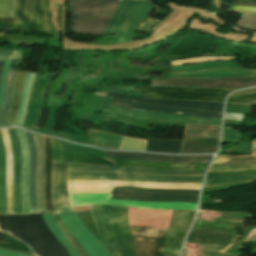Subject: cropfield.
<instances>
[{
    "label": "crop field",
    "mask_w": 256,
    "mask_h": 256,
    "mask_svg": "<svg viewBox=\"0 0 256 256\" xmlns=\"http://www.w3.org/2000/svg\"><path fill=\"white\" fill-rule=\"evenodd\" d=\"M243 114L225 113L224 119L242 121Z\"/></svg>",
    "instance_id": "obj_50"
},
{
    "label": "crop field",
    "mask_w": 256,
    "mask_h": 256,
    "mask_svg": "<svg viewBox=\"0 0 256 256\" xmlns=\"http://www.w3.org/2000/svg\"><path fill=\"white\" fill-rule=\"evenodd\" d=\"M135 256H161L168 229L129 225Z\"/></svg>",
    "instance_id": "obj_9"
},
{
    "label": "crop field",
    "mask_w": 256,
    "mask_h": 256,
    "mask_svg": "<svg viewBox=\"0 0 256 256\" xmlns=\"http://www.w3.org/2000/svg\"><path fill=\"white\" fill-rule=\"evenodd\" d=\"M239 136V132L236 130H232V128H224L223 131V141H237Z\"/></svg>",
    "instance_id": "obj_48"
},
{
    "label": "crop field",
    "mask_w": 256,
    "mask_h": 256,
    "mask_svg": "<svg viewBox=\"0 0 256 256\" xmlns=\"http://www.w3.org/2000/svg\"><path fill=\"white\" fill-rule=\"evenodd\" d=\"M25 74H26V72H24V71H20V70L18 71L7 125H14L16 111H17V107H18V102H19L21 88H22Z\"/></svg>",
    "instance_id": "obj_34"
},
{
    "label": "crop field",
    "mask_w": 256,
    "mask_h": 256,
    "mask_svg": "<svg viewBox=\"0 0 256 256\" xmlns=\"http://www.w3.org/2000/svg\"><path fill=\"white\" fill-rule=\"evenodd\" d=\"M0 229L24 241L39 256H69L40 214L1 216Z\"/></svg>",
    "instance_id": "obj_2"
},
{
    "label": "crop field",
    "mask_w": 256,
    "mask_h": 256,
    "mask_svg": "<svg viewBox=\"0 0 256 256\" xmlns=\"http://www.w3.org/2000/svg\"><path fill=\"white\" fill-rule=\"evenodd\" d=\"M16 74H17L16 70L10 69L7 86H6V91H5L4 104H3V107L1 109V114H0V127L5 126L7 123V118H8V113H9V109H10Z\"/></svg>",
    "instance_id": "obj_32"
},
{
    "label": "crop field",
    "mask_w": 256,
    "mask_h": 256,
    "mask_svg": "<svg viewBox=\"0 0 256 256\" xmlns=\"http://www.w3.org/2000/svg\"><path fill=\"white\" fill-rule=\"evenodd\" d=\"M27 129H30V130H33L36 132H40V133H45V134L61 137V138H65V139H69V140H73L78 143H82L80 137H77V136H73V135H69V134H65V133H61V132L50 131V130L41 129V128H27Z\"/></svg>",
    "instance_id": "obj_43"
},
{
    "label": "crop field",
    "mask_w": 256,
    "mask_h": 256,
    "mask_svg": "<svg viewBox=\"0 0 256 256\" xmlns=\"http://www.w3.org/2000/svg\"><path fill=\"white\" fill-rule=\"evenodd\" d=\"M172 71L200 70V69H218V68H242L238 63L233 61L225 62H204L191 65H180L170 67Z\"/></svg>",
    "instance_id": "obj_31"
},
{
    "label": "crop field",
    "mask_w": 256,
    "mask_h": 256,
    "mask_svg": "<svg viewBox=\"0 0 256 256\" xmlns=\"http://www.w3.org/2000/svg\"><path fill=\"white\" fill-rule=\"evenodd\" d=\"M87 133H88L89 144H92V145H94L95 142L119 145L122 137L116 134H111V133H106L101 131H93V130H87Z\"/></svg>",
    "instance_id": "obj_35"
},
{
    "label": "crop field",
    "mask_w": 256,
    "mask_h": 256,
    "mask_svg": "<svg viewBox=\"0 0 256 256\" xmlns=\"http://www.w3.org/2000/svg\"><path fill=\"white\" fill-rule=\"evenodd\" d=\"M196 211H173L163 256H178L182 240Z\"/></svg>",
    "instance_id": "obj_15"
},
{
    "label": "crop field",
    "mask_w": 256,
    "mask_h": 256,
    "mask_svg": "<svg viewBox=\"0 0 256 256\" xmlns=\"http://www.w3.org/2000/svg\"><path fill=\"white\" fill-rule=\"evenodd\" d=\"M220 127L186 124L183 140L218 139ZM218 140L183 141L181 153H212Z\"/></svg>",
    "instance_id": "obj_10"
},
{
    "label": "crop field",
    "mask_w": 256,
    "mask_h": 256,
    "mask_svg": "<svg viewBox=\"0 0 256 256\" xmlns=\"http://www.w3.org/2000/svg\"><path fill=\"white\" fill-rule=\"evenodd\" d=\"M0 256H28V255L0 250Z\"/></svg>",
    "instance_id": "obj_52"
},
{
    "label": "crop field",
    "mask_w": 256,
    "mask_h": 256,
    "mask_svg": "<svg viewBox=\"0 0 256 256\" xmlns=\"http://www.w3.org/2000/svg\"><path fill=\"white\" fill-rule=\"evenodd\" d=\"M49 0H16L12 28H22L49 32L51 12Z\"/></svg>",
    "instance_id": "obj_4"
},
{
    "label": "crop field",
    "mask_w": 256,
    "mask_h": 256,
    "mask_svg": "<svg viewBox=\"0 0 256 256\" xmlns=\"http://www.w3.org/2000/svg\"><path fill=\"white\" fill-rule=\"evenodd\" d=\"M203 177H167L140 174H79L67 173V180L109 181L127 180L157 183H201Z\"/></svg>",
    "instance_id": "obj_13"
},
{
    "label": "crop field",
    "mask_w": 256,
    "mask_h": 256,
    "mask_svg": "<svg viewBox=\"0 0 256 256\" xmlns=\"http://www.w3.org/2000/svg\"><path fill=\"white\" fill-rule=\"evenodd\" d=\"M1 135L5 147L6 155V186H13V152L12 144L8 129H1ZM7 193V212H1V215L14 214V203H13V187H6Z\"/></svg>",
    "instance_id": "obj_22"
},
{
    "label": "crop field",
    "mask_w": 256,
    "mask_h": 256,
    "mask_svg": "<svg viewBox=\"0 0 256 256\" xmlns=\"http://www.w3.org/2000/svg\"><path fill=\"white\" fill-rule=\"evenodd\" d=\"M15 0H2V11H1V0H0V11L1 17H13Z\"/></svg>",
    "instance_id": "obj_45"
},
{
    "label": "crop field",
    "mask_w": 256,
    "mask_h": 256,
    "mask_svg": "<svg viewBox=\"0 0 256 256\" xmlns=\"http://www.w3.org/2000/svg\"><path fill=\"white\" fill-rule=\"evenodd\" d=\"M249 103H250V104H256V100L250 101Z\"/></svg>",
    "instance_id": "obj_60"
},
{
    "label": "crop field",
    "mask_w": 256,
    "mask_h": 256,
    "mask_svg": "<svg viewBox=\"0 0 256 256\" xmlns=\"http://www.w3.org/2000/svg\"><path fill=\"white\" fill-rule=\"evenodd\" d=\"M109 254L134 256L127 223L128 207L88 206Z\"/></svg>",
    "instance_id": "obj_3"
},
{
    "label": "crop field",
    "mask_w": 256,
    "mask_h": 256,
    "mask_svg": "<svg viewBox=\"0 0 256 256\" xmlns=\"http://www.w3.org/2000/svg\"><path fill=\"white\" fill-rule=\"evenodd\" d=\"M49 82L50 80H47V79H41L37 77L34 79L23 126L38 125L43 100H44Z\"/></svg>",
    "instance_id": "obj_16"
},
{
    "label": "crop field",
    "mask_w": 256,
    "mask_h": 256,
    "mask_svg": "<svg viewBox=\"0 0 256 256\" xmlns=\"http://www.w3.org/2000/svg\"><path fill=\"white\" fill-rule=\"evenodd\" d=\"M98 147H104V148H114V149H118L119 146H102V145H95Z\"/></svg>",
    "instance_id": "obj_56"
},
{
    "label": "crop field",
    "mask_w": 256,
    "mask_h": 256,
    "mask_svg": "<svg viewBox=\"0 0 256 256\" xmlns=\"http://www.w3.org/2000/svg\"><path fill=\"white\" fill-rule=\"evenodd\" d=\"M52 147V162L67 161V142L50 138Z\"/></svg>",
    "instance_id": "obj_38"
},
{
    "label": "crop field",
    "mask_w": 256,
    "mask_h": 256,
    "mask_svg": "<svg viewBox=\"0 0 256 256\" xmlns=\"http://www.w3.org/2000/svg\"><path fill=\"white\" fill-rule=\"evenodd\" d=\"M107 96L139 102V103H145V104L222 111V103H216V102H194V101H182V100L151 99V98H142V97H136V96L119 95V94H107Z\"/></svg>",
    "instance_id": "obj_19"
},
{
    "label": "crop field",
    "mask_w": 256,
    "mask_h": 256,
    "mask_svg": "<svg viewBox=\"0 0 256 256\" xmlns=\"http://www.w3.org/2000/svg\"><path fill=\"white\" fill-rule=\"evenodd\" d=\"M68 161L93 163V164H114L136 167H151L161 169H205L207 164H188V163H158V162H142L124 159H112L104 157H96L86 154H77L69 152Z\"/></svg>",
    "instance_id": "obj_14"
},
{
    "label": "crop field",
    "mask_w": 256,
    "mask_h": 256,
    "mask_svg": "<svg viewBox=\"0 0 256 256\" xmlns=\"http://www.w3.org/2000/svg\"><path fill=\"white\" fill-rule=\"evenodd\" d=\"M205 170H161L135 168L113 165H92L67 162V172H98V173H144L174 176H203Z\"/></svg>",
    "instance_id": "obj_11"
},
{
    "label": "crop field",
    "mask_w": 256,
    "mask_h": 256,
    "mask_svg": "<svg viewBox=\"0 0 256 256\" xmlns=\"http://www.w3.org/2000/svg\"><path fill=\"white\" fill-rule=\"evenodd\" d=\"M237 27L256 31V14L242 13V18L237 24Z\"/></svg>",
    "instance_id": "obj_41"
},
{
    "label": "crop field",
    "mask_w": 256,
    "mask_h": 256,
    "mask_svg": "<svg viewBox=\"0 0 256 256\" xmlns=\"http://www.w3.org/2000/svg\"><path fill=\"white\" fill-rule=\"evenodd\" d=\"M14 151V192H15V215L23 214L21 201V157L15 128H8Z\"/></svg>",
    "instance_id": "obj_23"
},
{
    "label": "crop field",
    "mask_w": 256,
    "mask_h": 256,
    "mask_svg": "<svg viewBox=\"0 0 256 256\" xmlns=\"http://www.w3.org/2000/svg\"><path fill=\"white\" fill-rule=\"evenodd\" d=\"M250 151H256V139L252 140Z\"/></svg>",
    "instance_id": "obj_54"
},
{
    "label": "crop field",
    "mask_w": 256,
    "mask_h": 256,
    "mask_svg": "<svg viewBox=\"0 0 256 256\" xmlns=\"http://www.w3.org/2000/svg\"><path fill=\"white\" fill-rule=\"evenodd\" d=\"M120 0H74L70 32L103 34ZM154 6L143 0H121L104 34L119 33L127 26L151 29L158 22L148 18Z\"/></svg>",
    "instance_id": "obj_1"
},
{
    "label": "crop field",
    "mask_w": 256,
    "mask_h": 256,
    "mask_svg": "<svg viewBox=\"0 0 256 256\" xmlns=\"http://www.w3.org/2000/svg\"><path fill=\"white\" fill-rule=\"evenodd\" d=\"M228 159H215L214 163L224 162ZM230 164H256V157L253 158H232L224 163L212 164L216 165H230Z\"/></svg>",
    "instance_id": "obj_42"
},
{
    "label": "crop field",
    "mask_w": 256,
    "mask_h": 256,
    "mask_svg": "<svg viewBox=\"0 0 256 256\" xmlns=\"http://www.w3.org/2000/svg\"><path fill=\"white\" fill-rule=\"evenodd\" d=\"M41 215H42L46 225L48 226V228L52 231V233L56 236V238L64 246V248L67 250V252L70 254V256H78L76 251L71 247V245L68 243V241L65 239V237L62 235V233L59 231V229L56 227V225L52 221V219L50 217V213H44Z\"/></svg>",
    "instance_id": "obj_36"
},
{
    "label": "crop field",
    "mask_w": 256,
    "mask_h": 256,
    "mask_svg": "<svg viewBox=\"0 0 256 256\" xmlns=\"http://www.w3.org/2000/svg\"><path fill=\"white\" fill-rule=\"evenodd\" d=\"M111 104L132 108V109L145 110V111L163 112V113L187 115V116L210 117V118H218V119H220L221 113H222V112H215V111L142 105V104H135V103L125 102V101H120L115 99L112 100Z\"/></svg>",
    "instance_id": "obj_21"
},
{
    "label": "crop field",
    "mask_w": 256,
    "mask_h": 256,
    "mask_svg": "<svg viewBox=\"0 0 256 256\" xmlns=\"http://www.w3.org/2000/svg\"><path fill=\"white\" fill-rule=\"evenodd\" d=\"M108 110L110 113L118 115H129L134 117L146 118V119H155V120H165V121H178V122H190V123H199V124H214L218 125L221 120L214 119H205V118H196V117H187V116H178L154 112H144L136 111L125 108H120L116 106L109 105Z\"/></svg>",
    "instance_id": "obj_18"
},
{
    "label": "crop field",
    "mask_w": 256,
    "mask_h": 256,
    "mask_svg": "<svg viewBox=\"0 0 256 256\" xmlns=\"http://www.w3.org/2000/svg\"><path fill=\"white\" fill-rule=\"evenodd\" d=\"M17 135L21 147L22 156V201H23V211L24 214L30 213L29 201H28V148L24 136V132L21 129H17Z\"/></svg>",
    "instance_id": "obj_26"
},
{
    "label": "crop field",
    "mask_w": 256,
    "mask_h": 256,
    "mask_svg": "<svg viewBox=\"0 0 256 256\" xmlns=\"http://www.w3.org/2000/svg\"><path fill=\"white\" fill-rule=\"evenodd\" d=\"M56 213L88 256H109L104 246L81 222L73 208L57 210Z\"/></svg>",
    "instance_id": "obj_8"
},
{
    "label": "crop field",
    "mask_w": 256,
    "mask_h": 256,
    "mask_svg": "<svg viewBox=\"0 0 256 256\" xmlns=\"http://www.w3.org/2000/svg\"><path fill=\"white\" fill-rule=\"evenodd\" d=\"M3 63H4V61L0 62V76H1V71H2V67H3Z\"/></svg>",
    "instance_id": "obj_58"
},
{
    "label": "crop field",
    "mask_w": 256,
    "mask_h": 256,
    "mask_svg": "<svg viewBox=\"0 0 256 256\" xmlns=\"http://www.w3.org/2000/svg\"><path fill=\"white\" fill-rule=\"evenodd\" d=\"M34 77H35L34 73L27 72L26 78L24 80L21 98H20V102H19V107H18V111H17L16 123H15V125L20 126V127L22 125L25 109H26V106L28 103L29 92H30L31 84H32Z\"/></svg>",
    "instance_id": "obj_33"
},
{
    "label": "crop field",
    "mask_w": 256,
    "mask_h": 256,
    "mask_svg": "<svg viewBox=\"0 0 256 256\" xmlns=\"http://www.w3.org/2000/svg\"><path fill=\"white\" fill-rule=\"evenodd\" d=\"M22 52L13 51V55L0 54V60L7 58H21Z\"/></svg>",
    "instance_id": "obj_51"
},
{
    "label": "crop field",
    "mask_w": 256,
    "mask_h": 256,
    "mask_svg": "<svg viewBox=\"0 0 256 256\" xmlns=\"http://www.w3.org/2000/svg\"><path fill=\"white\" fill-rule=\"evenodd\" d=\"M25 136L29 148V200L31 213H38L36 203V148L32 139V135L26 131Z\"/></svg>",
    "instance_id": "obj_25"
},
{
    "label": "crop field",
    "mask_w": 256,
    "mask_h": 256,
    "mask_svg": "<svg viewBox=\"0 0 256 256\" xmlns=\"http://www.w3.org/2000/svg\"><path fill=\"white\" fill-rule=\"evenodd\" d=\"M256 85L254 78H176L151 80V86H191L209 88L240 89Z\"/></svg>",
    "instance_id": "obj_12"
},
{
    "label": "crop field",
    "mask_w": 256,
    "mask_h": 256,
    "mask_svg": "<svg viewBox=\"0 0 256 256\" xmlns=\"http://www.w3.org/2000/svg\"><path fill=\"white\" fill-rule=\"evenodd\" d=\"M251 98H256V92L231 95V96H229L227 101L230 103H234V102L248 100Z\"/></svg>",
    "instance_id": "obj_47"
},
{
    "label": "crop field",
    "mask_w": 256,
    "mask_h": 256,
    "mask_svg": "<svg viewBox=\"0 0 256 256\" xmlns=\"http://www.w3.org/2000/svg\"><path fill=\"white\" fill-rule=\"evenodd\" d=\"M111 198L142 201H182L196 203L198 191L142 189L134 187H114Z\"/></svg>",
    "instance_id": "obj_5"
},
{
    "label": "crop field",
    "mask_w": 256,
    "mask_h": 256,
    "mask_svg": "<svg viewBox=\"0 0 256 256\" xmlns=\"http://www.w3.org/2000/svg\"><path fill=\"white\" fill-rule=\"evenodd\" d=\"M232 5H237V6H256L253 4H232Z\"/></svg>",
    "instance_id": "obj_57"
},
{
    "label": "crop field",
    "mask_w": 256,
    "mask_h": 256,
    "mask_svg": "<svg viewBox=\"0 0 256 256\" xmlns=\"http://www.w3.org/2000/svg\"><path fill=\"white\" fill-rule=\"evenodd\" d=\"M37 148V203L39 213L46 212L44 204V148L39 136L32 134Z\"/></svg>",
    "instance_id": "obj_27"
},
{
    "label": "crop field",
    "mask_w": 256,
    "mask_h": 256,
    "mask_svg": "<svg viewBox=\"0 0 256 256\" xmlns=\"http://www.w3.org/2000/svg\"><path fill=\"white\" fill-rule=\"evenodd\" d=\"M256 169V165L211 167L209 172Z\"/></svg>",
    "instance_id": "obj_46"
},
{
    "label": "crop field",
    "mask_w": 256,
    "mask_h": 256,
    "mask_svg": "<svg viewBox=\"0 0 256 256\" xmlns=\"http://www.w3.org/2000/svg\"><path fill=\"white\" fill-rule=\"evenodd\" d=\"M102 151L116 158L158 161V162L208 163L211 158V155L163 156V155L138 153V152L105 151V150H102Z\"/></svg>",
    "instance_id": "obj_17"
},
{
    "label": "crop field",
    "mask_w": 256,
    "mask_h": 256,
    "mask_svg": "<svg viewBox=\"0 0 256 256\" xmlns=\"http://www.w3.org/2000/svg\"><path fill=\"white\" fill-rule=\"evenodd\" d=\"M252 90H256V88H252V89H248V90H244V91H252ZM244 91H240V92H244Z\"/></svg>",
    "instance_id": "obj_59"
},
{
    "label": "crop field",
    "mask_w": 256,
    "mask_h": 256,
    "mask_svg": "<svg viewBox=\"0 0 256 256\" xmlns=\"http://www.w3.org/2000/svg\"><path fill=\"white\" fill-rule=\"evenodd\" d=\"M133 90L155 94L160 98L222 102L233 90L190 87H133Z\"/></svg>",
    "instance_id": "obj_7"
},
{
    "label": "crop field",
    "mask_w": 256,
    "mask_h": 256,
    "mask_svg": "<svg viewBox=\"0 0 256 256\" xmlns=\"http://www.w3.org/2000/svg\"><path fill=\"white\" fill-rule=\"evenodd\" d=\"M0 242L9 244L5 236L2 234V232H0Z\"/></svg>",
    "instance_id": "obj_55"
},
{
    "label": "crop field",
    "mask_w": 256,
    "mask_h": 256,
    "mask_svg": "<svg viewBox=\"0 0 256 256\" xmlns=\"http://www.w3.org/2000/svg\"><path fill=\"white\" fill-rule=\"evenodd\" d=\"M195 224L206 225V226H216V227L225 228V229H234V230L237 229L236 226L224 225V224H219V223H215V222H200V221H196Z\"/></svg>",
    "instance_id": "obj_49"
},
{
    "label": "crop field",
    "mask_w": 256,
    "mask_h": 256,
    "mask_svg": "<svg viewBox=\"0 0 256 256\" xmlns=\"http://www.w3.org/2000/svg\"><path fill=\"white\" fill-rule=\"evenodd\" d=\"M231 236L232 234L218 231L192 229L186 242L211 244L218 247H225L228 245Z\"/></svg>",
    "instance_id": "obj_24"
},
{
    "label": "crop field",
    "mask_w": 256,
    "mask_h": 256,
    "mask_svg": "<svg viewBox=\"0 0 256 256\" xmlns=\"http://www.w3.org/2000/svg\"><path fill=\"white\" fill-rule=\"evenodd\" d=\"M10 62H11V60L5 61L3 71H2L1 82H0V109L3 104L4 91H5V85H6V81H7Z\"/></svg>",
    "instance_id": "obj_44"
},
{
    "label": "crop field",
    "mask_w": 256,
    "mask_h": 256,
    "mask_svg": "<svg viewBox=\"0 0 256 256\" xmlns=\"http://www.w3.org/2000/svg\"><path fill=\"white\" fill-rule=\"evenodd\" d=\"M6 211L5 202V157L3 142L0 136V212Z\"/></svg>",
    "instance_id": "obj_37"
},
{
    "label": "crop field",
    "mask_w": 256,
    "mask_h": 256,
    "mask_svg": "<svg viewBox=\"0 0 256 256\" xmlns=\"http://www.w3.org/2000/svg\"><path fill=\"white\" fill-rule=\"evenodd\" d=\"M51 193L54 210L69 207L66 189V162L52 163Z\"/></svg>",
    "instance_id": "obj_20"
},
{
    "label": "crop field",
    "mask_w": 256,
    "mask_h": 256,
    "mask_svg": "<svg viewBox=\"0 0 256 256\" xmlns=\"http://www.w3.org/2000/svg\"><path fill=\"white\" fill-rule=\"evenodd\" d=\"M51 216L53 218V221L58 226L60 231L63 233V235L66 237V239L69 241V243L72 245V247L77 251L79 256H86L80 245L77 243V241L74 239V237L71 235V233L67 230V228L62 224V222L57 217L55 211L50 212Z\"/></svg>",
    "instance_id": "obj_39"
},
{
    "label": "crop field",
    "mask_w": 256,
    "mask_h": 256,
    "mask_svg": "<svg viewBox=\"0 0 256 256\" xmlns=\"http://www.w3.org/2000/svg\"><path fill=\"white\" fill-rule=\"evenodd\" d=\"M45 148V204L46 210L52 211L51 194H50V177H51V147L48 137L41 136Z\"/></svg>",
    "instance_id": "obj_29"
},
{
    "label": "crop field",
    "mask_w": 256,
    "mask_h": 256,
    "mask_svg": "<svg viewBox=\"0 0 256 256\" xmlns=\"http://www.w3.org/2000/svg\"><path fill=\"white\" fill-rule=\"evenodd\" d=\"M256 71L243 70H207L198 72L169 73L168 78L174 77H253Z\"/></svg>",
    "instance_id": "obj_28"
},
{
    "label": "crop field",
    "mask_w": 256,
    "mask_h": 256,
    "mask_svg": "<svg viewBox=\"0 0 256 256\" xmlns=\"http://www.w3.org/2000/svg\"><path fill=\"white\" fill-rule=\"evenodd\" d=\"M239 181L256 182V176H234L230 178L208 179L206 180L205 187L220 186V185H224L232 182H239Z\"/></svg>",
    "instance_id": "obj_40"
},
{
    "label": "crop field",
    "mask_w": 256,
    "mask_h": 256,
    "mask_svg": "<svg viewBox=\"0 0 256 256\" xmlns=\"http://www.w3.org/2000/svg\"><path fill=\"white\" fill-rule=\"evenodd\" d=\"M181 140L147 139L146 151L180 153Z\"/></svg>",
    "instance_id": "obj_30"
},
{
    "label": "crop field",
    "mask_w": 256,
    "mask_h": 256,
    "mask_svg": "<svg viewBox=\"0 0 256 256\" xmlns=\"http://www.w3.org/2000/svg\"><path fill=\"white\" fill-rule=\"evenodd\" d=\"M231 3H253L256 4V0H229Z\"/></svg>",
    "instance_id": "obj_53"
},
{
    "label": "crop field",
    "mask_w": 256,
    "mask_h": 256,
    "mask_svg": "<svg viewBox=\"0 0 256 256\" xmlns=\"http://www.w3.org/2000/svg\"><path fill=\"white\" fill-rule=\"evenodd\" d=\"M112 194H68L70 207L93 204H115L149 209H196L197 204L181 202H141L109 199Z\"/></svg>",
    "instance_id": "obj_6"
}]
</instances>
